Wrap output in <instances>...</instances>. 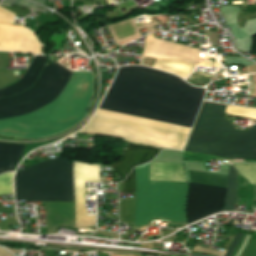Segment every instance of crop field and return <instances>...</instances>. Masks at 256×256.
Instances as JSON below:
<instances>
[{"label": "crop field", "mask_w": 256, "mask_h": 256, "mask_svg": "<svg viewBox=\"0 0 256 256\" xmlns=\"http://www.w3.org/2000/svg\"><path fill=\"white\" fill-rule=\"evenodd\" d=\"M205 89L141 66L119 68L100 109L191 127ZM98 109L79 131L182 151L191 128Z\"/></svg>", "instance_id": "obj_1"}, {"label": "crop field", "mask_w": 256, "mask_h": 256, "mask_svg": "<svg viewBox=\"0 0 256 256\" xmlns=\"http://www.w3.org/2000/svg\"><path fill=\"white\" fill-rule=\"evenodd\" d=\"M70 73L56 62L45 66L31 89L0 100V118L44 105L60 91ZM92 90V73L72 71L61 91L47 104L0 119V135L40 138L69 129L85 118Z\"/></svg>", "instance_id": "obj_2"}, {"label": "crop field", "mask_w": 256, "mask_h": 256, "mask_svg": "<svg viewBox=\"0 0 256 256\" xmlns=\"http://www.w3.org/2000/svg\"><path fill=\"white\" fill-rule=\"evenodd\" d=\"M74 161L52 158L15 174L16 198L29 201L74 202ZM99 182L98 165L74 166L76 228L96 226V216H85L84 182Z\"/></svg>", "instance_id": "obj_3"}, {"label": "crop field", "mask_w": 256, "mask_h": 256, "mask_svg": "<svg viewBox=\"0 0 256 256\" xmlns=\"http://www.w3.org/2000/svg\"><path fill=\"white\" fill-rule=\"evenodd\" d=\"M226 105L204 102L184 151L227 159H256V125L249 132L235 133V126L222 117Z\"/></svg>", "instance_id": "obj_4"}, {"label": "crop field", "mask_w": 256, "mask_h": 256, "mask_svg": "<svg viewBox=\"0 0 256 256\" xmlns=\"http://www.w3.org/2000/svg\"><path fill=\"white\" fill-rule=\"evenodd\" d=\"M150 162L135 167V226L164 219L185 223L186 183L149 182Z\"/></svg>", "instance_id": "obj_5"}, {"label": "crop field", "mask_w": 256, "mask_h": 256, "mask_svg": "<svg viewBox=\"0 0 256 256\" xmlns=\"http://www.w3.org/2000/svg\"><path fill=\"white\" fill-rule=\"evenodd\" d=\"M142 56L155 59L152 67L186 78L199 61L198 49L146 36Z\"/></svg>", "instance_id": "obj_6"}, {"label": "crop field", "mask_w": 256, "mask_h": 256, "mask_svg": "<svg viewBox=\"0 0 256 256\" xmlns=\"http://www.w3.org/2000/svg\"><path fill=\"white\" fill-rule=\"evenodd\" d=\"M188 186L187 224L222 210L225 188L193 183Z\"/></svg>", "instance_id": "obj_7"}, {"label": "crop field", "mask_w": 256, "mask_h": 256, "mask_svg": "<svg viewBox=\"0 0 256 256\" xmlns=\"http://www.w3.org/2000/svg\"><path fill=\"white\" fill-rule=\"evenodd\" d=\"M36 35L21 25L0 24V50L41 54Z\"/></svg>", "instance_id": "obj_8"}, {"label": "crop field", "mask_w": 256, "mask_h": 256, "mask_svg": "<svg viewBox=\"0 0 256 256\" xmlns=\"http://www.w3.org/2000/svg\"><path fill=\"white\" fill-rule=\"evenodd\" d=\"M160 150L128 143L122 159L111 166L123 180L133 166L151 160Z\"/></svg>", "instance_id": "obj_9"}, {"label": "crop field", "mask_w": 256, "mask_h": 256, "mask_svg": "<svg viewBox=\"0 0 256 256\" xmlns=\"http://www.w3.org/2000/svg\"><path fill=\"white\" fill-rule=\"evenodd\" d=\"M48 56H36L33 58L26 75L16 84L0 89V98L15 95L31 87L42 71Z\"/></svg>", "instance_id": "obj_10"}, {"label": "crop field", "mask_w": 256, "mask_h": 256, "mask_svg": "<svg viewBox=\"0 0 256 256\" xmlns=\"http://www.w3.org/2000/svg\"><path fill=\"white\" fill-rule=\"evenodd\" d=\"M149 20L151 21V23L147 25L135 26L134 19L130 18L124 22L109 25L108 28L116 44H120L124 41L140 36L141 34L138 30L144 27L147 28L148 32H151V31H154V28L152 25L161 24L160 22L152 18H149Z\"/></svg>", "instance_id": "obj_11"}, {"label": "crop field", "mask_w": 256, "mask_h": 256, "mask_svg": "<svg viewBox=\"0 0 256 256\" xmlns=\"http://www.w3.org/2000/svg\"><path fill=\"white\" fill-rule=\"evenodd\" d=\"M26 145L0 143V174L14 171Z\"/></svg>", "instance_id": "obj_12"}, {"label": "crop field", "mask_w": 256, "mask_h": 256, "mask_svg": "<svg viewBox=\"0 0 256 256\" xmlns=\"http://www.w3.org/2000/svg\"><path fill=\"white\" fill-rule=\"evenodd\" d=\"M237 179L238 173L236 169L229 165L228 172V189L226 192V199L223 211H228L234 209L236 197H237Z\"/></svg>", "instance_id": "obj_13"}, {"label": "crop field", "mask_w": 256, "mask_h": 256, "mask_svg": "<svg viewBox=\"0 0 256 256\" xmlns=\"http://www.w3.org/2000/svg\"><path fill=\"white\" fill-rule=\"evenodd\" d=\"M225 112L230 115L256 119V109L228 105Z\"/></svg>", "instance_id": "obj_14"}, {"label": "crop field", "mask_w": 256, "mask_h": 256, "mask_svg": "<svg viewBox=\"0 0 256 256\" xmlns=\"http://www.w3.org/2000/svg\"><path fill=\"white\" fill-rule=\"evenodd\" d=\"M12 174L13 173H6L0 176V194H13Z\"/></svg>", "instance_id": "obj_15"}, {"label": "crop field", "mask_w": 256, "mask_h": 256, "mask_svg": "<svg viewBox=\"0 0 256 256\" xmlns=\"http://www.w3.org/2000/svg\"><path fill=\"white\" fill-rule=\"evenodd\" d=\"M123 191L124 192H133L135 191V180H134V169L127 176L123 182Z\"/></svg>", "instance_id": "obj_16"}, {"label": "crop field", "mask_w": 256, "mask_h": 256, "mask_svg": "<svg viewBox=\"0 0 256 256\" xmlns=\"http://www.w3.org/2000/svg\"><path fill=\"white\" fill-rule=\"evenodd\" d=\"M4 3L9 4V5L23 6V7H27V8H31V9L45 10L41 7H38L36 5L30 4V3L22 1V0H6Z\"/></svg>", "instance_id": "obj_17"}, {"label": "crop field", "mask_w": 256, "mask_h": 256, "mask_svg": "<svg viewBox=\"0 0 256 256\" xmlns=\"http://www.w3.org/2000/svg\"><path fill=\"white\" fill-rule=\"evenodd\" d=\"M242 235L243 234L236 233L235 237H234V239H233V241H232V243H231V245L229 247V249L227 250V252H226V250H223L221 256H223L225 252H226V254L224 256H231L232 252L237 247V245H238Z\"/></svg>", "instance_id": "obj_18"}, {"label": "crop field", "mask_w": 256, "mask_h": 256, "mask_svg": "<svg viewBox=\"0 0 256 256\" xmlns=\"http://www.w3.org/2000/svg\"><path fill=\"white\" fill-rule=\"evenodd\" d=\"M193 252H202L220 256L221 252L195 246Z\"/></svg>", "instance_id": "obj_19"}, {"label": "crop field", "mask_w": 256, "mask_h": 256, "mask_svg": "<svg viewBox=\"0 0 256 256\" xmlns=\"http://www.w3.org/2000/svg\"><path fill=\"white\" fill-rule=\"evenodd\" d=\"M245 237H246V235L244 234L242 239H241V241H240V243H239V245H238V247L233 252L232 256H236V254L238 253V251L240 250V248H241V246H242V244L244 242Z\"/></svg>", "instance_id": "obj_20"}, {"label": "crop field", "mask_w": 256, "mask_h": 256, "mask_svg": "<svg viewBox=\"0 0 256 256\" xmlns=\"http://www.w3.org/2000/svg\"><path fill=\"white\" fill-rule=\"evenodd\" d=\"M34 1H37V2H39V3H43V4H44V1H45V0H34Z\"/></svg>", "instance_id": "obj_21"}, {"label": "crop field", "mask_w": 256, "mask_h": 256, "mask_svg": "<svg viewBox=\"0 0 256 256\" xmlns=\"http://www.w3.org/2000/svg\"><path fill=\"white\" fill-rule=\"evenodd\" d=\"M255 200H256V197H255Z\"/></svg>", "instance_id": "obj_22"}]
</instances>
